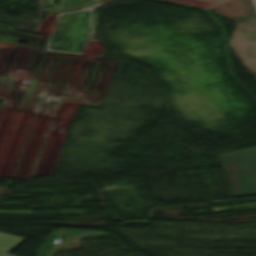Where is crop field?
Instances as JSON below:
<instances>
[{
  "label": "crop field",
  "mask_w": 256,
  "mask_h": 256,
  "mask_svg": "<svg viewBox=\"0 0 256 256\" xmlns=\"http://www.w3.org/2000/svg\"><path fill=\"white\" fill-rule=\"evenodd\" d=\"M0 256H4V255H0Z\"/></svg>",
  "instance_id": "412701ff"
},
{
  "label": "crop field",
  "mask_w": 256,
  "mask_h": 256,
  "mask_svg": "<svg viewBox=\"0 0 256 256\" xmlns=\"http://www.w3.org/2000/svg\"><path fill=\"white\" fill-rule=\"evenodd\" d=\"M24 240L25 238L0 233V250L9 253Z\"/></svg>",
  "instance_id": "ac0d7876"
},
{
  "label": "crop field",
  "mask_w": 256,
  "mask_h": 256,
  "mask_svg": "<svg viewBox=\"0 0 256 256\" xmlns=\"http://www.w3.org/2000/svg\"><path fill=\"white\" fill-rule=\"evenodd\" d=\"M218 157L235 196L256 194V147Z\"/></svg>",
  "instance_id": "8a807250"
},
{
  "label": "crop field",
  "mask_w": 256,
  "mask_h": 256,
  "mask_svg": "<svg viewBox=\"0 0 256 256\" xmlns=\"http://www.w3.org/2000/svg\"><path fill=\"white\" fill-rule=\"evenodd\" d=\"M4 192V190H0V197L3 195Z\"/></svg>",
  "instance_id": "34b2d1b8"
}]
</instances>
